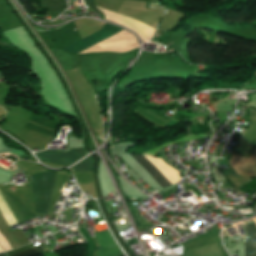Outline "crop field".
I'll return each mask as SVG.
<instances>
[{
	"label": "crop field",
	"mask_w": 256,
	"mask_h": 256,
	"mask_svg": "<svg viewBox=\"0 0 256 256\" xmlns=\"http://www.w3.org/2000/svg\"><path fill=\"white\" fill-rule=\"evenodd\" d=\"M0 256H6L5 253H1Z\"/></svg>",
	"instance_id": "11"
},
{
	"label": "crop field",
	"mask_w": 256,
	"mask_h": 256,
	"mask_svg": "<svg viewBox=\"0 0 256 256\" xmlns=\"http://www.w3.org/2000/svg\"><path fill=\"white\" fill-rule=\"evenodd\" d=\"M39 160H45L50 162H56L59 164L70 165L85 155H87L86 151L83 147L81 148H74L69 149L66 152H57V151H50L46 150L44 152H40L36 154Z\"/></svg>",
	"instance_id": "4"
},
{
	"label": "crop field",
	"mask_w": 256,
	"mask_h": 256,
	"mask_svg": "<svg viewBox=\"0 0 256 256\" xmlns=\"http://www.w3.org/2000/svg\"><path fill=\"white\" fill-rule=\"evenodd\" d=\"M177 115H183V116H189V117H193L195 116L194 114H187V113H180V112H176Z\"/></svg>",
	"instance_id": "10"
},
{
	"label": "crop field",
	"mask_w": 256,
	"mask_h": 256,
	"mask_svg": "<svg viewBox=\"0 0 256 256\" xmlns=\"http://www.w3.org/2000/svg\"><path fill=\"white\" fill-rule=\"evenodd\" d=\"M123 31L125 30L106 23L105 26H103L97 32L64 48V50L74 54H82L83 52L102 44L106 40L116 36Z\"/></svg>",
	"instance_id": "2"
},
{
	"label": "crop field",
	"mask_w": 256,
	"mask_h": 256,
	"mask_svg": "<svg viewBox=\"0 0 256 256\" xmlns=\"http://www.w3.org/2000/svg\"><path fill=\"white\" fill-rule=\"evenodd\" d=\"M92 169V157L89 156L77 165L70 168L71 172H82V171H91Z\"/></svg>",
	"instance_id": "8"
},
{
	"label": "crop field",
	"mask_w": 256,
	"mask_h": 256,
	"mask_svg": "<svg viewBox=\"0 0 256 256\" xmlns=\"http://www.w3.org/2000/svg\"><path fill=\"white\" fill-rule=\"evenodd\" d=\"M199 138H205V135H190V136H187V137H185V138L178 139V140H176V141H174V142L165 144V145H163V146H161V147H158V148H156V149H152V150H150V151L144 153L143 155L154 156V155L156 154V152H157L160 148H162V147H164V146H166V145L175 144V143H179V142H185V141L196 140V139H199Z\"/></svg>",
	"instance_id": "9"
},
{
	"label": "crop field",
	"mask_w": 256,
	"mask_h": 256,
	"mask_svg": "<svg viewBox=\"0 0 256 256\" xmlns=\"http://www.w3.org/2000/svg\"><path fill=\"white\" fill-rule=\"evenodd\" d=\"M3 78V75L0 73V79H2Z\"/></svg>",
	"instance_id": "12"
},
{
	"label": "crop field",
	"mask_w": 256,
	"mask_h": 256,
	"mask_svg": "<svg viewBox=\"0 0 256 256\" xmlns=\"http://www.w3.org/2000/svg\"><path fill=\"white\" fill-rule=\"evenodd\" d=\"M132 155V154H131ZM135 160L140 163L144 169L149 172L154 179L158 182V184L164 188L172 185L163 175L162 173L145 157L142 155H132Z\"/></svg>",
	"instance_id": "5"
},
{
	"label": "crop field",
	"mask_w": 256,
	"mask_h": 256,
	"mask_svg": "<svg viewBox=\"0 0 256 256\" xmlns=\"http://www.w3.org/2000/svg\"><path fill=\"white\" fill-rule=\"evenodd\" d=\"M43 253H45V252L41 245L37 246L33 249L31 247V245L28 244L22 248L7 252L6 254L8 256H35V255H39V254H43Z\"/></svg>",
	"instance_id": "6"
},
{
	"label": "crop field",
	"mask_w": 256,
	"mask_h": 256,
	"mask_svg": "<svg viewBox=\"0 0 256 256\" xmlns=\"http://www.w3.org/2000/svg\"><path fill=\"white\" fill-rule=\"evenodd\" d=\"M56 172H41L30 175L36 209L48 214Z\"/></svg>",
	"instance_id": "1"
},
{
	"label": "crop field",
	"mask_w": 256,
	"mask_h": 256,
	"mask_svg": "<svg viewBox=\"0 0 256 256\" xmlns=\"http://www.w3.org/2000/svg\"><path fill=\"white\" fill-rule=\"evenodd\" d=\"M248 236V256H256V227L255 225L246 227Z\"/></svg>",
	"instance_id": "7"
},
{
	"label": "crop field",
	"mask_w": 256,
	"mask_h": 256,
	"mask_svg": "<svg viewBox=\"0 0 256 256\" xmlns=\"http://www.w3.org/2000/svg\"><path fill=\"white\" fill-rule=\"evenodd\" d=\"M251 126L244 132L234 150V154L250 160L256 151V111L250 109Z\"/></svg>",
	"instance_id": "3"
}]
</instances>
